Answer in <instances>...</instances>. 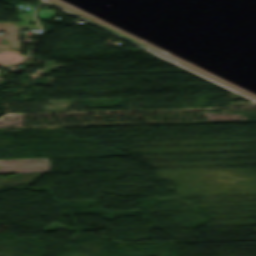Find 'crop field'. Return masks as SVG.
Instances as JSON below:
<instances>
[{
    "instance_id": "crop-field-4",
    "label": "crop field",
    "mask_w": 256,
    "mask_h": 256,
    "mask_svg": "<svg viewBox=\"0 0 256 256\" xmlns=\"http://www.w3.org/2000/svg\"><path fill=\"white\" fill-rule=\"evenodd\" d=\"M56 67H65L62 64H55L54 61L43 62V69H37L35 72L55 71Z\"/></svg>"
},
{
    "instance_id": "crop-field-5",
    "label": "crop field",
    "mask_w": 256,
    "mask_h": 256,
    "mask_svg": "<svg viewBox=\"0 0 256 256\" xmlns=\"http://www.w3.org/2000/svg\"><path fill=\"white\" fill-rule=\"evenodd\" d=\"M55 15L54 11L50 9H39L37 10V16L39 19L53 18Z\"/></svg>"
},
{
    "instance_id": "crop-field-6",
    "label": "crop field",
    "mask_w": 256,
    "mask_h": 256,
    "mask_svg": "<svg viewBox=\"0 0 256 256\" xmlns=\"http://www.w3.org/2000/svg\"><path fill=\"white\" fill-rule=\"evenodd\" d=\"M0 32H1V22H0Z\"/></svg>"
},
{
    "instance_id": "crop-field-3",
    "label": "crop field",
    "mask_w": 256,
    "mask_h": 256,
    "mask_svg": "<svg viewBox=\"0 0 256 256\" xmlns=\"http://www.w3.org/2000/svg\"><path fill=\"white\" fill-rule=\"evenodd\" d=\"M16 19L24 21V23H18V25H28V26H31V25H29L30 23H35L34 19L32 17V11H27L26 14H18L16 16ZM34 26H37V25L34 24Z\"/></svg>"
},
{
    "instance_id": "crop-field-1",
    "label": "crop field",
    "mask_w": 256,
    "mask_h": 256,
    "mask_svg": "<svg viewBox=\"0 0 256 256\" xmlns=\"http://www.w3.org/2000/svg\"><path fill=\"white\" fill-rule=\"evenodd\" d=\"M17 28L39 29L38 27L17 26V23L2 22V32H7V35L0 36V48L21 49L20 41L16 40V36L18 35Z\"/></svg>"
},
{
    "instance_id": "crop-field-2",
    "label": "crop field",
    "mask_w": 256,
    "mask_h": 256,
    "mask_svg": "<svg viewBox=\"0 0 256 256\" xmlns=\"http://www.w3.org/2000/svg\"><path fill=\"white\" fill-rule=\"evenodd\" d=\"M27 58V56L20 55V52L15 51H0V65L4 64H16Z\"/></svg>"
}]
</instances>
